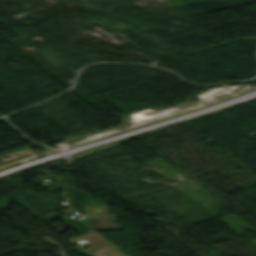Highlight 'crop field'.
<instances>
[{
  "label": "crop field",
  "mask_w": 256,
  "mask_h": 256,
  "mask_svg": "<svg viewBox=\"0 0 256 256\" xmlns=\"http://www.w3.org/2000/svg\"><path fill=\"white\" fill-rule=\"evenodd\" d=\"M88 255L90 256H126L125 254L121 253L118 249H116L112 245L93 251L91 253H88Z\"/></svg>",
  "instance_id": "obj_1"
}]
</instances>
